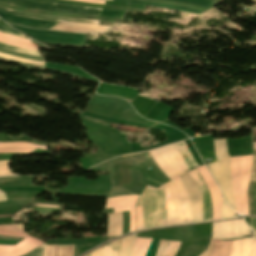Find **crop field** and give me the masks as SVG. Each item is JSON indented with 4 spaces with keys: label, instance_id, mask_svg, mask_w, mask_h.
Returning <instances> with one entry per match:
<instances>
[{
    "label": "crop field",
    "instance_id": "crop-field-25",
    "mask_svg": "<svg viewBox=\"0 0 256 256\" xmlns=\"http://www.w3.org/2000/svg\"><path fill=\"white\" fill-rule=\"evenodd\" d=\"M235 212L231 210L222 198L221 219L234 217Z\"/></svg>",
    "mask_w": 256,
    "mask_h": 256
},
{
    "label": "crop field",
    "instance_id": "crop-field-34",
    "mask_svg": "<svg viewBox=\"0 0 256 256\" xmlns=\"http://www.w3.org/2000/svg\"><path fill=\"white\" fill-rule=\"evenodd\" d=\"M11 175H14V174L10 173L8 165L0 166V176H11Z\"/></svg>",
    "mask_w": 256,
    "mask_h": 256
},
{
    "label": "crop field",
    "instance_id": "crop-field-3",
    "mask_svg": "<svg viewBox=\"0 0 256 256\" xmlns=\"http://www.w3.org/2000/svg\"><path fill=\"white\" fill-rule=\"evenodd\" d=\"M137 206H143V229L167 225L162 186H146Z\"/></svg>",
    "mask_w": 256,
    "mask_h": 256
},
{
    "label": "crop field",
    "instance_id": "crop-field-23",
    "mask_svg": "<svg viewBox=\"0 0 256 256\" xmlns=\"http://www.w3.org/2000/svg\"><path fill=\"white\" fill-rule=\"evenodd\" d=\"M0 147H33V148L47 150V147L38 146V145L31 144V143H24V142L0 143Z\"/></svg>",
    "mask_w": 256,
    "mask_h": 256
},
{
    "label": "crop field",
    "instance_id": "crop-field-15",
    "mask_svg": "<svg viewBox=\"0 0 256 256\" xmlns=\"http://www.w3.org/2000/svg\"><path fill=\"white\" fill-rule=\"evenodd\" d=\"M256 186V143H253V162L252 171L247 191L248 204H249V215L255 214L254 212V201H253V191Z\"/></svg>",
    "mask_w": 256,
    "mask_h": 256
},
{
    "label": "crop field",
    "instance_id": "crop-field-38",
    "mask_svg": "<svg viewBox=\"0 0 256 256\" xmlns=\"http://www.w3.org/2000/svg\"><path fill=\"white\" fill-rule=\"evenodd\" d=\"M102 247L91 252V256H101Z\"/></svg>",
    "mask_w": 256,
    "mask_h": 256
},
{
    "label": "crop field",
    "instance_id": "crop-field-14",
    "mask_svg": "<svg viewBox=\"0 0 256 256\" xmlns=\"http://www.w3.org/2000/svg\"><path fill=\"white\" fill-rule=\"evenodd\" d=\"M0 10L11 13V14H16L18 16L45 19V20L74 22V23H87V24H94V25H98V23H99V21H95V20H79V19H71V18L48 17V16H41V15H35V14H28V13H19L14 10L5 9L1 6H0Z\"/></svg>",
    "mask_w": 256,
    "mask_h": 256
},
{
    "label": "crop field",
    "instance_id": "crop-field-32",
    "mask_svg": "<svg viewBox=\"0 0 256 256\" xmlns=\"http://www.w3.org/2000/svg\"><path fill=\"white\" fill-rule=\"evenodd\" d=\"M168 241L160 240L156 256H162Z\"/></svg>",
    "mask_w": 256,
    "mask_h": 256
},
{
    "label": "crop field",
    "instance_id": "crop-field-26",
    "mask_svg": "<svg viewBox=\"0 0 256 256\" xmlns=\"http://www.w3.org/2000/svg\"><path fill=\"white\" fill-rule=\"evenodd\" d=\"M34 149L30 148H6L0 149V154L4 153H31Z\"/></svg>",
    "mask_w": 256,
    "mask_h": 256
},
{
    "label": "crop field",
    "instance_id": "crop-field-29",
    "mask_svg": "<svg viewBox=\"0 0 256 256\" xmlns=\"http://www.w3.org/2000/svg\"><path fill=\"white\" fill-rule=\"evenodd\" d=\"M212 238L220 239V222L213 223Z\"/></svg>",
    "mask_w": 256,
    "mask_h": 256
},
{
    "label": "crop field",
    "instance_id": "crop-field-16",
    "mask_svg": "<svg viewBox=\"0 0 256 256\" xmlns=\"http://www.w3.org/2000/svg\"><path fill=\"white\" fill-rule=\"evenodd\" d=\"M122 235V212L108 214L107 237Z\"/></svg>",
    "mask_w": 256,
    "mask_h": 256
},
{
    "label": "crop field",
    "instance_id": "crop-field-18",
    "mask_svg": "<svg viewBox=\"0 0 256 256\" xmlns=\"http://www.w3.org/2000/svg\"><path fill=\"white\" fill-rule=\"evenodd\" d=\"M0 42L8 44V45L16 46V47L35 50V48L31 44L30 40L19 38V37H14V36L3 34V33H0Z\"/></svg>",
    "mask_w": 256,
    "mask_h": 256
},
{
    "label": "crop field",
    "instance_id": "crop-field-27",
    "mask_svg": "<svg viewBox=\"0 0 256 256\" xmlns=\"http://www.w3.org/2000/svg\"><path fill=\"white\" fill-rule=\"evenodd\" d=\"M0 56L5 57V58H9V59H13V60H17V61H20V62L28 63V64L43 66V63L40 62V61L22 59V58H18V57L9 56V55L3 54V53H0Z\"/></svg>",
    "mask_w": 256,
    "mask_h": 256
},
{
    "label": "crop field",
    "instance_id": "crop-field-17",
    "mask_svg": "<svg viewBox=\"0 0 256 256\" xmlns=\"http://www.w3.org/2000/svg\"><path fill=\"white\" fill-rule=\"evenodd\" d=\"M252 239L234 240L230 256H249L251 250Z\"/></svg>",
    "mask_w": 256,
    "mask_h": 256
},
{
    "label": "crop field",
    "instance_id": "crop-field-42",
    "mask_svg": "<svg viewBox=\"0 0 256 256\" xmlns=\"http://www.w3.org/2000/svg\"><path fill=\"white\" fill-rule=\"evenodd\" d=\"M36 206H40V207H51V208H57L58 206H47V205H36Z\"/></svg>",
    "mask_w": 256,
    "mask_h": 256
},
{
    "label": "crop field",
    "instance_id": "crop-field-12",
    "mask_svg": "<svg viewBox=\"0 0 256 256\" xmlns=\"http://www.w3.org/2000/svg\"><path fill=\"white\" fill-rule=\"evenodd\" d=\"M109 28L110 27H105V26H93V25L57 22L50 29L58 30V31H66V32H76V33H85V32L105 33Z\"/></svg>",
    "mask_w": 256,
    "mask_h": 256
},
{
    "label": "crop field",
    "instance_id": "crop-field-11",
    "mask_svg": "<svg viewBox=\"0 0 256 256\" xmlns=\"http://www.w3.org/2000/svg\"><path fill=\"white\" fill-rule=\"evenodd\" d=\"M46 250H47V246L42 244L23 256H46ZM72 255H73V245L48 246L47 256H72Z\"/></svg>",
    "mask_w": 256,
    "mask_h": 256
},
{
    "label": "crop field",
    "instance_id": "crop-field-9",
    "mask_svg": "<svg viewBox=\"0 0 256 256\" xmlns=\"http://www.w3.org/2000/svg\"><path fill=\"white\" fill-rule=\"evenodd\" d=\"M200 176L205 181L211 193V200L213 206V220L220 219V205H221V195L218 187L210 176L209 172L204 166L196 168Z\"/></svg>",
    "mask_w": 256,
    "mask_h": 256
},
{
    "label": "crop field",
    "instance_id": "crop-field-49",
    "mask_svg": "<svg viewBox=\"0 0 256 256\" xmlns=\"http://www.w3.org/2000/svg\"><path fill=\"white\" fill-rule=\"evenodd\" d=\"M109 1H112V0H109Z\"/></svg>",
    "mask_w": 256,
    "mask_h": 256
},
{
    "label": "crop field",
    "instance_id": "crop-field-35",
    "mask_svg": "<svg viewBox=\"0 0 256 256\" xmlns=\"http://www.w3.org/2000/svg\"><path fill=\"white\" fill-rule=\"evenodd\" d=\"M212 247H213V240L211 239L207 249L203 253H201L199 256H209Z\"/></svg>",
    "mask_w": 256,
    "mask_h": 256
},
{
    "label": "crop field",
    "instance_id": "crop-field-8",
    "mask_svg": "<svg viewBox=\"0 0 256 256\" xmlns=\"http://www.w3.org/2000/svg\"><path fill=\"white\" fill-rule=\"evenodd\" d=\"M139 196H123L109 198L105 209L114 208V213L129 210L130 226L129 232L135 230V204Z\"/></svg>",
    "mask_w": 256,
    "mask_h": 256
},
{
    "label": "crop field",
    "instance_id": "crop-field-10",
    "mask_svg": "<svg viewBox=\"0 0 256 256\" xmlns=\"http://www.w3.org/2000/svg\"><path fill=\"white\" fill-rule=\"evenodd\" d=\"M250 234L249 228L242 219L221 222V239Z\"/></svg>",
    "mask_w": 256,
    "mask_h": 256
},
{
    "label": "crop field",
    "instance_id": "crop-field-40",
    "mask_svg": "<svg viewBox=\"0 0 256 256\" xmlns=\"http://www.w3.org/2000/svg\"><path fill=\"white\" fill-rule=\"evenodd\" d=\"M0 52H3V51H0ZM4 53H6V52H4ZM7 54H9V55H15V56H21V55L11 54V53H7ZM21 57H25V58H29V59H34V60H40V59L31 58V57H26V56H21ZM40 61H42V60H40Z\"/></svg>",
    "mask_w": 256,
    "mask_h": 256
},
{
    "label": "crop field",
    "instance_id": "crop-field-46",
    "mask_svg": "<svg viewBox=\"0 0 256 256\" xmlns=\"http://www.w3.org/2000/svg\"><path fill=\"white\" fill-rule=\"evenodd\" d=\"M10 216H13V215H10ZM0 217H7V216H0Z\"/></svg>",
    "mask_w": 256,
    "mask_h": 256
},
{
    "label": "crop field",
    "instance_id": "crop-field-19",
    "mask_svg": "<svg viewBox=\"0 0 256 256\" xmlns=\"http://www.w3.org/2000/svg\"><path fill=\"white\" fill-rule=\"evenodd\" d=\"M231 242L214 240V248L210 256H229Z\"/></svg>",
    "mask_w": 256,
    "mask_h": 256
},
{
    "label": "crop field",
    "instance_id": "crop-field-28",
    "mask_svg": "<svg viewBox=\"0 0 256 256\" xmlns=\"http://www.w3.org/2000/svg\"><path fill=\"white\" fill-rule=\"evenodd\" d=\"M0 47H1V48H5V49H8V50H12V51H17V52L29 54V55L40 56V55L38 54V52L30 51V50H24V49H18V48H14V47H10V46L4 45V44H2V43H0Z\"/></svg>",
    "mask_w": 256,
    "mask_h": 256
},
{
    "label": "crop field",
    "instance_id": "crop-field-30",
    "mask_svg": "<svg viewBox=\"0 0 256 256\" xmlns=\"http://www.w3.org/2000/svg\"><path fill=\"white\" fill-rule=\"evenodd\" d=\"M142 229V207H137V230Z\"/></svg>",
    "mask_w": 256,
    "mask_h": 256
},
{
    "label": "crop field",
    "instance_id": "crop-field-45",
    "mask_svg": "<svg viewBox=\"0 0 256 256\" xmlns=\"http://www.w3.org/2000/svg\"><path fill=\"white\" fill-rule=\"evenodd\" d=\"M9 164V161H0V165Z\"/></svg>",
    "mask_w": 256,
    "mask_h": 256
},
{
    "label": "crop field",
    "instance_id": "crop-field-13",
    "mask_svg": "<svg viewBox=\"0 0 256 256\" xmlns=\"http://www.w3.org/2000/svg\"><path fill=\"white\" fill-rule=\"evenodd\" d=\"M0 17L8 23L18 24L26 27H36L41 29H48L54 23L52 21H44L38 19H30V18H23V17H16L11 14H7L5 12L0 11Z\"/></svg>",
    "mask_w": 256,
    "mask_h": 256
},
{
    "label": "crop field",
    "instance_id": "crop-field-5",
    "mask_svg": "<svg viewBox=\"0 0 256 256\" xmlns=\"http://www.w3.org/2000/svg\"><path fill=\"white\" fill-rule=\"evenodd\" d=\"M175 146L177 150L180 152V154L182 155L188 168L190 169V170H187V172L193 178V180L197 183V185L200 187L202 191L203 201H204V221L212 220V207H211V201H210V194L204 181L201 179V177L198 175V173L194 169V167H197V164L195 163L184 141L175 143Z\"/></svg>",
    "mask_w": 256,
    "mask_h": 256
},
{
    "label": "crop field",
    "instance_id": "crop-field-37",
    "mask_svg": "<svg viewBox=\"0 0 256 256\" xmlns=\"http://www.w3.org/2000/svg\"><path fill=\"white\" fill-rule=\"evenodd\" d=\"M250 256H256V240H253L252 251Z\"/></svg>",
    "mask_w": 256,
    "mask_h": 256
},
{
    "label": "crop field",
    "instance_id": "crop-field-21",
    "mask_svg": "<svg viewBox=\"0 0 256 256\" xmlns=\"http://www.w3.org/2000/svg\"><path fill=\"white\" fill-rule=\"evenodd\" d=\"M135 235H130L124 238H121V254L120 256H131L133 249V244L135 240Z\"/></svg>",
    "mask_w": 256,
    "mask_h": 256
},
{
    "label": "crop field",
    "instance_id": "crop-field-24",
    "mask_svg": "<svg viewBox=\"0 0 256 256\" xmlns=\"http://www.w3.org/2000/svg\"><path fill=\"white\" fill-rule=\"evenodd\" d=\"M181 242L169 241L163 256H175Z\"/></svg>",
    "mask_w": 256,
    "mask_h": 256
},
{
    "label": "crop field",
    "instance_id": "crop-field-6",
    "mask_svg": "<svg viewBox=\"0 0 256 256\" xmlns=\"http://www.w3.org/2000/svg\"><path fill=\"white\" fill-rule=\"evenodd\" d=\"M0 1L23 6L30 9L49 10V11H58V12H66V13H73V14L93 15V16H99L102 10V9L82 8V7L53 4V3L35 2V1H29V0H0Z\"/></svg>",
    "mask_w": 256,
    "mask_h": 256
},
{
    "label": "crop field",
    "instance_id": "crop-field-1",
    "mask_svg": "<svg viewBox=\"0 0 256 256\" xmlns=\"http://www.w3.org/2000/svg\"><path fill=\"white\" fill-rule=\"evenodd\" d=\"M162 172L171 180L164 185L168 225L192 222L187 192L179 179L187 167L173 144L148 151Z\"/></svg>",
    "mask_w": 256,
    "mask_h": 256
},
{
    "label": "crop field",
    "instance_id": "crop-field-41",
    "mask_svg": "<svg viewBox=\"0 0 256 256\" xmlns=\"http://www.w3.org/2000/svg\"><path fill=\"white\" fill-rule=\"evenodd\" d=\"M0 201H7L4 192H0Z\"/></svg>",
    "mask_w": 256,
    "mask_h": 256
},
{
    "label": "crop field",
    "instance_id": "crop-field-22",
    "mask_svg": "<svg viewBox=\"0 0 256 256\" xmlns=\"http://www.w3.org/2000/svg\"><path fill=\"white\" fill-rule=\"evenodd\" d=\"M120 240L103 246L102 256H119Z\"/></svg>",
    "mask_w": 256,
    "mask_h": 256
},
{
    "label": "crop field",
    "instance_id": "crop-field-36",
    "mask_svg": "<svg viewBox=\"0 0 256 256\" xmlns=\"http://www.w3.org/2000/svg\"><path fill=\"white\" fill-rule=\"evenodd\" d=\"M251 229L253 230L256 238V217L250 218Z\"/></svg>",
    "mask_w": 256,
    "mask_h": 256
},
{
    "label": "crop field",
    "instance_id": "crop-field-43",
    "mask_svg": "<svg viewBox=\"0 0 256 256\" xmlns=\"http://www.w3.org/2000/svg\"><path fill=\"white\" fill-rule=\"evenodd\" d=\"M0 50L6 51V52H11V53H16V52L8 51V50L1 49V48H0ZM17 54H20V53H17ZM22 55H24V54H22ZM26 56H28V55H26ZM31 57H33V56H31ZM37 58H38V57H37Z\"/></svg>",
    "mask_w": 256,
    "mask_h": 256
},
{
    "label": "crop field",
    "instance_id": "crop-field-48",
    "mask_svg": "<svg viewBox=\"0 0 256 256\" xmlns=\"http://www.w3.org/2000/svg\"><path fill=\"white\" fill-rule=\"evenodd\" d=\"M87 256H90V254H88Z\"/></svg>",
    "mask_w": 256,
    "mask_h": 256
},
{
    "label": "crop field",
    "instance_id": "crop-field-31",
    "mask_svg": "<svg viewBox=\"0 0 256 256\" xmlns=\"http://www.w3.org/2000/svg\"><path fill=\"white\" fill-rule=\"evenodd\" d=\"M0 32H3V33H7V34H11V35H15V36H19V37H23V38H27L25 37L24 35L14 31V30H11V29H7V28H4V27H1L0 26ZM28 39V38H27Z\"/></svg>",
    "mask_w": 256,
    "mask_h": 256
},
{
    "label": "crop field",
    "instance_id": "crop-field-47",
    "mask_svg": "<svg viewBox=\"0 0 256 256\" xmlns=\"http://www.w3.org/2000/svg\"><path fill=\"white\" fill-rule=\"evenodd\" d=\"M153 161V159H151ZM154 162V161H153ZM155 163V162H154ZM156 165V164H155ZM157 166V165H156ZM159 169V168H158ZM160 170V169H159Z\"/></svg>",
    "mask_w": 256,
    "mask_h": 256
},
{
    "label": "crop field",
    "instance_id": "crop-field-44",
    "mask_svg": "<svg viewBox=\"0 0 256 256\" xmlns=\"http://www.w3.org/2000/svg\"><path fill=\"white\" fill-rule=\"evenodd\" d=\"M254 201H255V211H256V189H255V192H254Z\"/></svg>",
    "mask_w": 256,
    "mask_h": 256
},
{
    "label": "crop field",
    "instance_id": "crop-field-33",
    "mask_svg": "<svg viewBox=\"0 0 256 256\" xmlns=\"http://www.w3.org/2000/svg\"><path fill=\"white\" fill-rule=\"evenodd\" d=\"M0 235H7V236H17V237H25V233H16V232H10V231H2L0 230Z\"/></svg>",
    "mask_w": 256,
    "mask_h": 256
},
{
    "label": "crop field",
    "instance_id": "crop-field-39",
    "mask_svg": "<svg viewBox=\"0 0 256 256\" xmlns=\"http://www.w3.org/2000/svg\"><path fill=\"white\" fill-rule=\"evenodd\" d=\"M77 1L100 3V4H104V2H105V1H102V0H77Z\"/></svg>",
    "mask_w": 256,
    "mask_h": 256
},
{
    "label": "crop field",
    "instance_id": "crop-field-2",
    "mask_svg": "<svg viewBox=\"0 0 256 256\" xmlns=\"http://www.w3.org/2000/svg\"><path fill=\"white\" fill-rule=\"evenodd\" d=\"M214 148L217 161L206 164V166L223 192L226 202L235 210L230 173V157L227 155L225 139L214 140Z\"/></svg>",
    "mask_w": 256,
    "mask_h": 256
},
{
    "label": "crop field",
    "instance_id": "crop-field-4",
    "mask_svg": "<svg viewBox=\"0 0 256 256\" xmlns=\"http://www.w3.org/2000/svg\"><path fill=\"white\" fill-rule=\"evenodd\" d=\"M251 161L252 155L246 156V171H245V156L244 157H233L231 158V173L234 196L236 200V212L241 214V203H240V190L242 185V180L244 176V181L241 190V202H242V214L248 215L247 209V198L246 191L251 171Z\"/></svg>",
    "mask_w": 256,
    "mask_h": 256
},
{
    "label": "crop field",
    "instance_id": "crop-field-7",
    "mask_svg": "<svg viewBox=\"0 0 256 256\" xmlns=\"http://www.w3.org/2000/svg\"><path fill=\"white\" fill-rule=\"evenodd\" d=\"M190 197L193 222L203 221V206L201 193L192 178L186 173L180 176Z\"/></svg>",
    "mask_w": 256,
    "mask_h": 256
},
{
    "label": "crop field",
    "instance_id": "crop-field-20",
    "mask_svg": "<svg viewBox=\"0 0 256 256\" xmlns=\"http://www.w3.org/2000/svg\"><path fill=\"white\" fill-rule=\"evenodd\" d=\"M152 239L136 238L132 256H146Z\"/></svg>",
    "mask_w": 256,
    "mask_h": 256
}]
</instances>
